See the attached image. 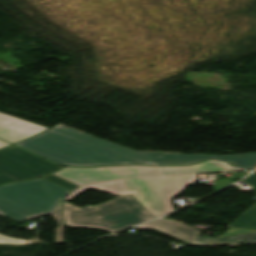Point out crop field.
Returning <instances> with one entry per match:
<instances>
[{
  "label": "crop field",
  "instance_id": "4",
  "mask_svg": "<svg viewBox=\"0 0 256 256\" xmlns=\"http://www.w3.org/2000/svg\"><path fill=\"white\" fill-rule=\"evenodd\" d=\"M70 191L42 178L0 187V214L17 222L48 214Z\"/></svg>",
  "mask_w": 256,
  "mask_h": 256
},
{
  "label": "crop field",
  "instance_id": "15",
  "mask_svg": "<svg viewBox=\"0 0 256 256\" xmlns=\"http://www.w3.org/2000/svg\"><path fill=\"white\" fill-rule=\"evenodd\" d=\"M8 145H11V144L3 142V141L0 140V148L6 147Z\"/></svg>",
  "mask_w": 256,
  "mask_h": 256
},
{
  "label": "crop field",
  "instance_id": "14",
  "mask_svg": "<svg viewBox=\"0 0 256 256\" xmlns=\"http://www.w3.org/2000/svg\"><path fill=\"white\" fill-rule=\"evenodd\" d=\"M234 182H232L231 180H227V181H222V180H218V181H214V190L217 191L223 187H226L230 184H232Z\"/></svg>",
  "mask_w": 256,
  "mask_h": 256
},
{
  "label": "crop field",
  "instance_id": "11",
  "mask_svg": "<svg viewBox=\"0 0 256 256\" xmlns=\"http://www.w3.org/2000/svg\"><path fill=\"white\" fill-rule=\"evenodd\" d=\"M51 215L58 224L55 228V242H64L63 240L64 222H63L61 205L57 207Z\"/></svg>",
  "mask_w": 256,
  "mask_h": 256
},
{
  "label": "crop field",
  "instance_id": "5",
  "mask_svg": "<svg viewBox=\"0 0 256 256\" xmlns=\"http://www.w3.org/2000/svg\"><path fill=\"white\" fill-rule=\"evenodd\" d=\"M60 168L14 145L0 150V184L45 176Z\"/></svg>",
  "mask_w": 256,
  "mask_h": 256
},
{
  "label": "crop field",
  "instance_id": "12",
  "mask_svg": "<svg viewBox=\"0 0 256 256\" xmlns=\"http://www.w3.org/2000/svg\"><path fill=\"white\" fill-rule=\"evenodd\" d=\"M42 178H44V179H46V180H48L50 182H53V183H55V184H57L59 186H62V187L66 188V189H68L70 191H72V190H74V189H76L78 187V186H76L74 184H71L69 182H66V181H64V180H62V179H60V178H58V177H56L54 175H49V176H45V177H42Z\"/></svg>",
  "mask_w": 256,
  "mask_h": 256
},
{
  "label": "crop field",
  "instance_id": "13",
  "mask_svg": "<svg viewBox=\"0 0 256 256\" xmlns=\"http://www.w3.org/2000/svg\"><path fill=\"white\" fill-rule=\"evenodd\" d=\"M25 241L0 235V244H22Z\"/></svg>",
  "mask_w": 256,
  "mask_h": 256
},
{
  "label": "crop field",
  "instance_id": "3",
  "mask_svg": "<svg viewBox=\"0 0 256 256\" xmlns=\"http://www.w3.org/2000/svg\"><path fill=\"white\" fill-rule=\"evenodd\" d=\"M66 226L115 231L155 219L131 195L119 196L95 207L62 203Z\"/></svg>",
  "mask_w": 256,
  "mask_h": 256
},
{
  "label": "crop field",
  "instance_id": "6",
  "mask_svg": "<svg viewBox=\"0 0 256 256\" xmlns=\"http://www.w3.org/2000/svg\"><path fill=\"white\" fill-rule=\"evenodd\" d=\"M135 229H154L170 235L186 244L194 245H223L234 243L256 242V231L230 228L218 239L201 238V232L189 225L157 220L143 224ZM230 230L232 232H230Z\"/></svg>",
  "mask_w": 256,
  "mask_h": 256
},
{
  "label": "crop field",
  "instance_id": "1",
  "mask_svg": "<svg viewBox=\"0 0 256 256\" xmlns=\"http://www.w3.org/2000/svg\"><path fill=\"white\" fill-rule=\"evenodd\" d=\"M16 145L61 165L70 166L181 165L196 163L204 159H220L251 170L256 167V153L203 155L137 152L60 125Z\"/></svg>",
  "mask_w": 256,
  "mask_h": 256
},
{
  "label": "crop field",
  "instance_id": "7",
  "mask_svg": "<svg viewBox=\"0 0 256 256\" xmlns=\"http://www.w3.org/2000/svg\"><path fill=\"white\" fill-rule=\"evenodd\" d=\"M79 186L134 176H160L155 166H111L100 168L65 167L54 173Z\"/></svg>",
  "mask_w": 256,
  "mask_h": 256
},
{
  "label": "crop field",
  "instance_id": "2",
  "mask_svg": "<svg viewBox=\"0 0 256 256\" xmlns=\"http://www.w3.org/2000/svg\"><path fill=\"white\" fill-rule=\"evenodd\" d=\"M196 181V175L118 180L85 185L65 200H71L89 188L115 196L131 194L149 213L159 217L173 211L170 199Z\"/></svg>",
  "mask_w": 256,
  "mask_h": 256
},
{
  "label": "crop field",
  "instance_id": "16",
  "mask_svg": "<svg viewBox=\"0 0 256 256\" xmlns=\"http://www.w3.org/2000/svg\"><path fill=\"white\" fill-rule=\"evenodd\" d=\"M248 174V172H242V173H238V177L239 179L246 176Z\"/></svg>",
  "mask_w": 256,
  "mask_h": 256
},
{
  "label": "crop field",
  "instance_id": "10",
  "mask_svg": "<svg viewBox=\"0 0 256 256\" xmlns=\"http://www.w3.org/2000/svg\"><path fill=\"white\" fill-rule=\"evenodd\" d=\"M243 182L256 189V172L246 178ZM229 227L256 230V205L229 225Z\"/></svg>",
  "mask_w": 256,
  "mask_h": 256
},
{
  "label": "crop field",
  "instance_id": "8",
  "mask_svg": "<svg viewBox=\"0 0 256 256\" xmlns=\"http://www.w3.org/2000/svg\"><path fill=\"white\" fill-rule=\"evenodd\" d=\"M48 128L0 113V138L14 144Z\"/></svg>",
  "mask_w": 256,
  "mask_h": 256
},
{
  "label": "crop field",
  "instance_id": "9",
  "mask_svg": "<svg viewBox=\"0 0 256 256\" xmlns=\"http://www.w3.org/2000/svg\"><path fill=\"white\" fill-rule=\"evenodd\" d=\"M158 168L162 175L244 170L216 160H207L192 166H166Z\"/></svg>",
  "mask_w": 256,
  "mask_h": 256
}]
</instances>
